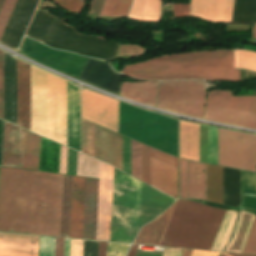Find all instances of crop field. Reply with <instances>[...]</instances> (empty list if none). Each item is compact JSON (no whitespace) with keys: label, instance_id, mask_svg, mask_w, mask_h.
<instances>
[{"label":"crop field","instance_id":"obj_31","mask_svg":"<svg viewBox=\"0 0 256 256\" xmlns=\"http://www.w3.org/2000/svg\"><path fill=\"white\" fill-rule=\"evenodd\" d=\"M236 216H237V212H231V211L226 212L211 250L223 251L226 243L228 242L231 236L233 225L236 220Z\"/></svg>","mask_w":256,"mask_h":256},{"label":"crop field","instance_id":"obj_56","mask_svg":"<svg viewBox=\"0 0 256 256\" xmlns=\"http://www.w3.org/2000/svg\"><path fill=\"white\" fill-rule=\"evenodd\" d=\"M105 252H106V243L99 242L98 256H105Z\"/></svg>","mask_w":256,"mask_h":256},{"label":"crop field","instance_id":"obj_43","mask_svg":"<svg viewBox=\"0 0 256 256\" xmlns=\"http://www.w3.org/2000/svg\"><path fill=\"white\" fill-rule=\"evenodd\" d=\"M130 245L107 243L106 256H125Z\"/></svg>","mask_w":256,"mask_h":256},{"label":"crop field","instance_id":"obj_28","mask_svg":"<svg viewBox=\"0 0 256 256\" xmlns=\"http://www.w3.org/2000/svg\"><path fill=\"white\" fill-rule=\"evenodd\" d=\"M40 137L24 130L22 168L38 170Z\"/></svg>","mask_w":256,"mask_h":256},{"label":"crop field","instance_id":"obj_22","mask_svg":"<svg viewBox=\"0 0 256 256\" xmlns=\"http://www.w3.org/2000/svg\"><path fill=\"white\" fill-rule=\"evenodd\" d=\"M180 158L199 161V125L180 122Z\"/></svg>","mask_w":256,"mask_h":256},{"label":"crop field","instance_id":"obj_58","mask_svg":"<svg viewBox=\"0 0 256 256\" xmlns=\"http://www.w3.org/2000/svg\"><path fill=\"white\" fill-rule=\"evenodd\" d=\"M137 246H138V245H132V247H131V249H130V251H129L128 256H135Z\"/></svg>","mask_w":256,"mask_h":256},{"label":"crop field","instance_id":"obj_29","mask_svg":"<svg viewBox=\"0 0 256 256\" xmlns=\"http://www.w3.org/2000/svg\"><path fill=\"white\" fill-rule=\"evenodd\" d=\"M207 201L222 204V167L207 164Z\"/></svg>","mask_w":256,"mask_h":256},{"label":"crop field","instance_id":"obj_61","mask_svg":"<svg viewBox=\"0 0 256 256\" xmlns=\"http://www.w3.org/2000/svg\"><path fill=\"white\" fill-rule=\"evenodd\" d=\"M252 35L253 38H256V25L253 26Z\"/></svg>","mask_w":256,"mask_h":256},{"label":"crop field","instance_id":"obj_26","mask_svg":"<svg viewBox=\"0 0 256 256\" xmlns=\"http://www.w3.org/2000/svg\"><path fill=\"white\" fill-rule=\"evenodd\" d=\"M60 145L41 137L39 170L58 173Z\"/></svg>","mask_w":256,"mask_h":256},{"label":"crop field","instance_id":"obj_51","mask_svg":"<svg viewBox=\"0 0 256 256\" xmlns=\"http://www.w3.org/2000/svg\"><path fill=\"white\" fill-rule=\"evenodd\" d=\"M103 1L104 0H93L91 2L89 15H93V16L98 17Z\"/></svg>","mask_w":256,"mask_h":256},{"label":"crop field","instance_id":"obj_30","mask_svg":"<svg viewBox=\"0 0 256 256\" xmlns=\"http://www.w3.org/2000/svg\"><path fill=\"white\" fill-rule=\"evenodd\" d=\"M72 176L64 175L60 236L68 237Z\"/></svg>","mask_w":256,"mask_h":256},{"label":"crop field","instance_id":"obj_46","mask_svg":"<svg viewBox=\"0 0 256 256\" xmlns=\"http://www.w3.org/2000/svg\"><path fill=\"white\" fill-rule=\"evenodd\" d=\"M151 156L178 168V159L151 148Z\"/></svg>","mask_w":256,"mask_h":256},{"label":"crop field","instance_id":"obj_38","mask_svg":"<svg viewBox=\"0 0 256 256\" xmlns=\"http://www.w3.org/2000/svg\"><path fill=\"white\" fill-rule=\"evenodd\" d=\"M55 238L40 236L39 256H54Z\"/></svg>","mask_w":256,"mask_h":256},{"label":"crop field","instance_id":"obj_54","mask_svg":"<svg viewBox=\"0 0 256 256\" xmlns=\"http://www.w3.org/2000/svg\"><path fill=\"white\" fill-rule=\"evenodd\" d=\"M241 76H242V82L256 79V73L246 71V70H241Z\"/></svg>","mask_w":256,"mask_h":256},{"label":"crop field","instance_id":"obj_37","mask_svg":"<svg viewBox=\"0 0 256 256\" xmlns=\"http://www.w3.org/2000/svg\"><path fill=\"white\" fill-rule=\"evenodd\" d=\"M142 181L150 185V148L142 144Z\"/></svg>","mask_w":256,"mask_h":256},{"label":"crop field","instance_id":"obj_59","mask_svg":"<svg viewBox=\"0 0 256 256\" xmlns=\"http://www.w3.org/2000/svg\"><path fill=\"white\" fill-rule=\"evenodd\" d=\"M222 256H249V255H240V254H228V253H223Z\"/></svg>","mask_w":256,"mask_h":256},{"label":"crop field","instance_id":"obj_1","mask_svg":"<svg viewBox=\"0 0 256 256\" xmlns=\"http://www.w3.org/2000/svg\"><path fill=\"white\" fill-rule=\"evenodd\" d=\"M30 178L31 171L0 168L1 231L27 233ZM62 182L63 175L32 171L28 233L59 236Z\"/></svg>","mask_w":256,"mask_h":256},{"label":"crop field","instance_id":"obj_4","mask_svg":"<svg viewBox=\"0 0 256 256\" xmlns=\"http://www.w3.org/2000/svg\"><path fill=\"white\" fill-rule=\"evenodd\" d=\"M31 130L67 146L66 81L30 65Z\"/></svg>","mask_w":256,"mask_h":256},{"label":"crop field","instance_id":"obj_62","mask_svg":"<svg viewBox=\"0 0 256 256\" xmlns=\"http://www.w3.org/2000/svg\"><path fill=\"white\" fill-rule=\"evenodd\" d=\"M3 2H4V0H0V9L2 7Z\"/></svg>","mask_w":256,"mask_h":256},{"label":"crop field","instance_id":"obj_63","mask_svg":"<svg viewBox=\"0 0 256 256\" xmlns=\"http://www.w3.org/2000/svg\"><path fill=\"white\" fill-rule=\"evenodd\" d=\"M255 94H256V91H255Z\"/></svg>","mask_w":256,"mask_h":256},{"label":"crop field","instance_id":"obj_53","mask_svg":"<svg viewBox=\"0 0 256 256\" xmlns=\"http://www.w3.org/2000/svg\"><path fill=\"white\" fill-rule=\"evenodd\" d=\"M183 249L165 248L162 256H181Z\"/></svg>","mask_w":256,"mask_h":256},{"label":"crop field","instance_id":"obj_20","mask_svg":"<svg viewBox=\"0 0 256 256\" xmlns=\"http://www.w3.org/2000/svg\"><path fill=\"white\" fill-rule=\"evenodd\" d=\"M85 178L73 176L69 237L81 238Z\"/></svg>","mask_w":256,"mask_h":256},{"label":"crop field","instance_id":"obj_47","mask_svg":"<svg viewBox=\"0 0 256 256\" xmlns=\"http://www.w3.org/2000/svg\"><path fill=\"white\" fill-rule=\"evenodd\" d=\"M83 240L71 239L70 256H82Z\"/></svg>","mask_w":256,"mask_h":256},{"label":"crop field","instance_id":"obj_5","mask_svg":"<svg viewBox=\"0 0 256 256\" xmlns=\"http://www.w3.org/2000/svg\"><path fill=\"white\" fill-rule=\"evenodd\" d=\"M225 212L178 200L159 245L210 250Z\"/></svg>","mask_w":256,"mask_h":256},{"label":"crop field","instance_id":"obj_27","mask_svg":"<svg viewBox=\"0 0 256 256\" xmlns=\"http://www.w3.org/2000/svg\"><path fill=\"white\" fill-rule=\"evenodd\" d=\"M159 11L160 0H134L129 19L156 22Z\"/></svg>","mask_w":256,"mask_h":256},{"label":"crop field","instance_id":"obj_13","mask_svg":"<svg viewBox=\"0 0 256 256\" xmlns=\"http://www.w3.org/2000/svg\"><path fill=\"white\" fill-rule=\"evenodd\" d=\"M39 236L0 233V256H38Z\"/></svg>","mask_w":256,"mask_h":256},{"label":"crop field","instance_id":"obj_55","mask_svg":"<svg viewBox=\"0 0 256 256\" xmlns=\"http://www.w3.org/2000/svg\"><path fill=\"white\" fill-rule=\"evenodd\" d=\"M219 253L193 250L191 256H218Z\"/></svg>","mask_w":256,"mask_h":256},{"label":"crop field","instance_id":"obj_50","mask_svg":"<svg viewBox=\"0 0 256 256\" xmlns=\"http://www.w3.org/2000/svg\"><path fill=\"white\" fill-rule=\"evenodd\" d=\"M0 118L3 119L2 51H0Z\"/></svg>","mask_w":256,"mask_h":256},{"label":"crop field","instance_id":"obj_7","mask_svg":"<svg viewBox=\"0 0 256 256\" xmlns=\"http://www.w3.org/2000/svg\"><path fill=\"white\" fill-rule=\"evenodd\" d=\"M205 97L203 82H162L159 84L157 107L202 118Z\"/></svg>","mask_w":256,"mask_h":256},{"label":"crop field","instance_id":"obj_24","mask_svg":"<svg viewBox=\"0 0 256 256\" xmlns=\"http://www.w3.org/2000/svg\"><path fill=\"white\" fill-rule=\"evenodd\" d=\"M175 204L163 214H161L159 217H157L155 220H153L151 223L142 227L134 243L158 245Z\"/></svg>","mask_w":256,"mask_h":256},{"label":"crop field","instance_id":"obj_44","mask_svg":"<svg viewBox=\"0 0 256 256\" xmlns=\"http://www.w3.org/2000/svg\"><path fill=\"white\" fill-rule=\"evenodd\" d=\"M243 253L256 254V217Z\"/></svg>","mask_w":256,"mask_h":256},{"label":"crop field","instance_id":"obj_32","mask_svg":"<svg viewBox=\"0 0 256 256\" xmlns=\"http://www.w3.org/2000/svg\"><path fill=\"white\" fill-rule=\"evenodd\" d=\"M132 0H105L99 16H127Z\"/></svg>","mask_w":256,"mask_h":256},{"label":"crop field","instance_id":"obj_2","mask_svg":"<svg viewBox=\"0 0 256 256\" xmlns=\"http://www.w3.org/2000/svg\"><path fill=\"white\" fill-rule=\"evenodd\" d=\"M123 74L143 80L206 79L241 82L233 52L212 51L160 57L124 68Z\"/></svg>","mask_w":256,"mask_h":256},{"label":"crop field","instance_id":"obj_25","mask_svg":"<svg viewBox=\"0 0 256 256\" xmlns=\"http://www.w3.org/2000/svg\"><path fill=\"white\" fill-rule=\"evenodd\" d=\"M239 212H240V215L238 218L234 236L230 241L229 245L225 249V251H228V252H238V253L243 252L248 234L250 232V229L255 217L254 215L247 212H242V211H239Z\"/></svg>","mask_w":256,"mask_h":256},{"label":"crop field","instance_id":"obj_45","mask_svg":"<svg viewBox=\"0 0 256 256\" xmlns=\"http://www.w3.org/2000/svg\"><path fill=\"white\" fill-rule=\"evenodd\" d=\"M180 198L186 199V161L180 160Z\"/></svg>","mask_w":256,"mask_h":256},{"label":"crop field","instance_id":"obj_34","mask_svg":"<svg viewBox=\"0 0 256 256\" xmlns=\"http://www.w3.org/2000/svg\"><path fill=\"white\" fill-rule=\"evenodd\" d=\"M234 60L235 68L256 72V53L246 50L234 51Z\"/></svg>","mask_w":256,"mask_h":256},{"label":"crop field","instance_id":"obj_15","mask_svg":"<svg viewBox=\"0 0 256 256\" xmlns=\"http://www.w3.org/2000/svg\"><path fill=\"white\" fill-rule=\"evenodd\" d=\"M17 125L30 130L29 65L17 60Z\"/></svg>","mask_w":256,"mask_h":256},{"label":"crop field","instance_id":"obj_6","mask_svg":"<svg viewBox=\"0 0 256 256\" xmlns=\"http://www.w3.org/2000/svg\"><path fill=\"white\" fill-rule=\"evenodd\" d=\"M230 94L209 92L204 119L256 129V96L230 97Z\"/></svg>","mask_w":256,"mask_h":256},{"label":"crop field","instance_id":"obj_19","mask_svg":"<svg viewBox=\"0 0 256 256\" xmlns=\"http://www.w3.org/2000/svg\"><path fill=\"white\" fill-rule=\"evenodd\" d=\"M98 180L86 178L82 238L95 240Z\"/></svg>","mask_w":256,"mask_h":256},{"label":"crop field","instance_id":"obj_36","mask_svg":"<svg viewBox=\"0 0 256 256\" xmlns=\"http://www.w3.org/2000/svg\"><path fill=\"white\" fill-rule=\"evenodd\" d=\"M208 163L217 165V129L208 127Z\"/></svg>","mask_w":256,"mask_h":256},{"label":"crop field","instance_id":"obj_9","mask_svg":"<svg viewBox=\"0 0 256 256\" xmlns=\"http://www.w3.org/2000/svg\"><path fill=\"white\" fill-rule=\"evenodd\" d=\"M82 118L119 133L118 101L82 89Z\"/></svg>","mask_w":256,"mask_h":256},{"label":"crop field","instance_id":"obj_60","mask_svg":"<svg viewBox=\"0 0 256 256\" xmlns=\"http://www.w3.org/2000/svg\"><path fill=\"white\" fill-rule=\"evenodd\" d=\"M191 251L192 250H190V251H187L186 249H184V254L182 255V256H190V254H191Z\"/></svg>","mask_w":256,"mask_h":256},{"label":"crop field","instance_id":"obj_12","mask_svg":"<svg viewBox=\"0 0 256 256\" xmlns=\"http://www.w3.org/2000/svg\"><path fill=\"white\" fill-rule=\"evenodd\" d=\"M80 79L119 95L122 76L105 62L89 59Z\"/></svg>","mask_w":256,"mask_h":256},{"label":"crop field","instance_id":"obj_23","mask_svg":"<svg viewBox=\"0 0 256 256\" xmlns=\"http://www.w3.org/2000/svg\"><path fill=\"white\" fill-rule=\"evenodd\" d=\"M157 86L158 82L122 83L120 95L154 106Z\"/></svg>","mask_w":256,"mask_h":256},{"label":"crop field","instance_id":"obj_17","mask_svg":"<svg viewBox=\"0 0 256 256\" xmlns=\"http://www.w3.org/2000/svg\"><path fill=\"white\" fill-rule=\"evenodd\" d=\"M23 130L6 122L2 166L21 168Z\"/></svg>","mask_w":256,"mask_h":256},{"label":"crop field","instance_id":"obj_14","mask_svg":"<svg viewBox=\"0 0 256 256\" xmlns=\"http://www.w3.org/2000/svg\"><path fill=\"white\" fill-rule=\"evenodd\" d=\"M234 0H191L190 16L230 22Z\"/></svg>","mask_w":256,"mask_h":256},{"label":"crop field","instance_id":"obj_33","mask_svg":"<svg viewBox=\"0 0 256 256\" xmlns=\"http://www.w3.org/2000/svg\"><path fill=\"white\" fill-rule=\"evenodd\" d=\"M82 152L95 158V125L82 120Z\"/></svg>","mask_w":256,"mask_h":256},{"label":"crop field","instance_id":"obj_21","mask_svg":"<svg viewBox=\"0 0 256 256\" xmlns=\"http://www.w3.org/2000/svg\"><path fill=\"white\" fill-rule=\"evenodd\" d=\"M187 199L206 200V164L187 161Z\"/></svg>","mask_w":256,"mask_h":256},{"label":"crop field","instance_id":"obj_41","mask_svg":"<svg viewBox=\"0 0 256 256\" xmlns=\"http://www.w3.org/2000/svg\"><path fill=\"white\" fill-rule=\"evenodd\" d=\"M52 1H54L58 5L63 6L65 9L75 13H80L85 3L82 0H52Z\"/></svg>","mask_w":256,"mask_h":256},{"label":"crop field","instance_id":"obj_11","mask_svg":"<svg viewBox=\"0 0 256 256\" xmlns=\"http://www.w3.org/2000/svg\"><path fill=\"white\" fill-rule=\"evenodd\" d=\"M114 168L101 162L96 240L109 241Z\"/></svg>","mask_w":256,"mask_h":256},{"label":"crop field","instance_id":"obj_49","mask_svg":"<svg viewBox=\"0 0 256 256\" xmlns=\"http://www.w3.org/2000/svg\"><path fill=\"white\" fill-rule=\"evenodd\" d=\"M67 148L61 145L59 173L66 174Z\"/></svg>","mask_w":256,"mask_h":256},{"label":"crop field","instance_id":"obj_57","mask_svg":"<svg viewBox=\"0 0 256 256\" xmlns=\"http://www.w3.org/2000/svg\"><path fill=\"white\" fill-rule=\"evenodd\" d=\"M70 239H65L64 256H69Z\"/></svg>","mask_w":256,"mask_h":256},{"label":"crop field","instance_id":"obj_40","mask_svg":"<svg viewBox=\"0 0 256 256\" xmlns=\"http://www.w3.org/2000/svg\"><path fill=\"white\" fill-rule=\"evenodd\" d=\"M145 51L146 48L137 45H120L118 55H127L130 57H134L143 55Z\"/></svg>","mask_w":256,"mask_h":256},{"label":"crop field","instance_id":"obj_8","mask_svg":"<svg viewBox=\"0 0 256 256\" xmlns=\"http://www.w3.org/2000/svg\"><path fill=\"white\" fill-rule=\"evenodd\" d=\"M218 165L256 172V136L218 129Z\"/></svg>","mask_w":256,"mask_h":256},{"label":"crop field","instance_id":"obj_48","mask_svg":"<svg viewBox=\"0 0 256 256\" xmlns=\"http://www.w3.org/2000/svg\"><path fill=\"white\" fill-rule=\"evenodd\" d=\"M174 16H189V4L172 5Z\"/></svg>","mask_w":256,"mask_h":256},{"label":"crop field","instance_id":"obj_16","mask_svg":"<svg viewBox=\"0 0 256 256\" xmlns=\"http://www.w3.org/2000/svg\"><path fill=\"white\" fill-rule=\"evenodd\" d=\"M151 186L177 198L178 169L151 157Z\"/></svg>","mask_w":256,"mask_h":256},{"label":"crop field","instance_id":"obj_42","mask_svg":"<svg viewBox=\"0 0 256 256\" xmlns=\"http://www.w3.org/2000/svg\"><path fill=\"white\" fill-rule=\"evenodd\" d=\"M200 161L207 163V127L200 125Z\"/></svg>","mask_w":256,"mask_h":256},{"label":"crop field","instance_id":"obj_18","mask_svg":"<svg viewBox=\"0 0 256 256\" xmlns=\"http://www.w3.org/2000/svg\"><path fill=\"white\" fill-rule=\"evenodd\" d=\"M68 146L80 151L79 90L67 82Z\"/></svg>","mask_w":256,"mask_h":256},{"label":"crop field","instance_id":"obj_35","mask_svg":"<svg viewBox=\"0 0 256 256\" xmlns=\"http://www.w3.org/2000/svg\"><path fill=\"white\" fill-rule=\"evenodd\" d=\"M131 176L141 180V144L131 140Z\"/></svg>","mask_w":256,"mask_h":256},{"label":"crop field","instance_id":"obj_52","mask_svg":"<svg viewBox=\"0 0 256 256\" xmlns=\"http://www.w3.org/2000/svg\"><path fill=\"white\" fill-rule=\"evenodd\" d=\"M64 239L56 238L55 256H63Z\"/></svg>","mask_w":256,"mask_h":256},{"label":"crop field","instance_id":"obj_3","mask_svg":"<svg viewBox=\"0 0 256 256\" xmlns=\"http://www.w3.org/2000/svg\"><path fill=\"white\" fill-rule=\"evenodd\" d=\"M141 190L142 182L115 169L110 241L131 243L139 228ZM173 201L143 184L140 225L152 220Z\"/></svg>","mask_w":256,"mask_h":256},{"label":"crop field","instance_id":"obj_10","mask_svg":"<svg viewBox=\"0 0 256 256\" xmlns=\"http://www.w3.org/2000/svg\"><path fill=\"white\" fill-rule=\"evenodd\" d=\"M96 158L123 170V137L96 125ZM124 172L130 174V140L125 137Z\"/></svg>","mask_w":256,"mask_h":256},{"label":"crop field","instance_id":"obj_39","mask_svg":"<svg viewBox=\"0 0 256 256\" xmlns=\"http://www.w3.org/2000/svg\"><path fill=\"white\" fill-rule=\"evenodd\" d=\"M16 0H5L0 11V37L13 10Z\"/></svg>","mask_w":256,"mask_h":256}]
</instances>
